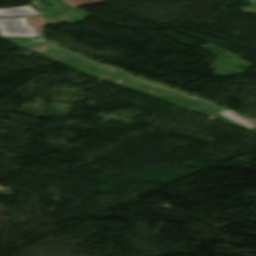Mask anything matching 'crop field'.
<instances>
[{
    "mask_svg": "<svg viewBox=\"0 0 256 256\" xmlns=\"http://www.w3.org/2000/svg\"><path fill=\"white\" fill-rule=\"evenodd\" d=\"M35 4L28 5L22 8L13 9H0V17H16L23 15H39V13L33 8Z\"/></svg>",
    "mask_w": 256,
    "mask_h": 256,
    "instance_id": "crop-field-2",
    "label": "crop field"
},
{
    "mask_svg": "<svg viewBox=\"0 0 256 256\" xmlns=\"http://www.w3.org/2000/svg\"><path fill=\"white\" fill-rule=\"evenodd\" d=\"M61 1L66 3L67 5H69L71 7L105 2L104 0H61Z\"/></svg>",
    "mask_w": 256,
    "mask_h": 256,
    "instance_id": "crop-field-3",
    "label": "crop field"
},
{
    "mask_svg": "<svg viewBox=\"0 0 256 256\" xmlns=\"http://www.w3.org/2000/svg\"><path fill=\"white\" fill-rule=\"evenodd\" d=\"M2 36H37L34 26L27 25L25 18L0 19Z\"/></svg>",
    "mask_w": 256,
    "mask_h": 256,
    "instance_id": "crop-field-1",
    "label": "crop field"
}]
</instances>
